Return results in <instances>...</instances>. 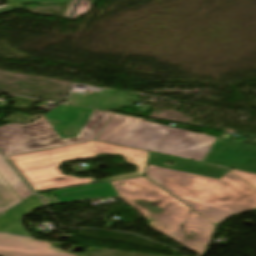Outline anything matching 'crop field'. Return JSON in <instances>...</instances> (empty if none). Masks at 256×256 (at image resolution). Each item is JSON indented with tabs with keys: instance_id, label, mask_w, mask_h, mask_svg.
<instances>
[{
	"instance_id": "dd49c442",
	"label": "crop field",
	"mask_w": 256,
	"mask_h": 256,
	"mask_svg": "<svg viewBox=\"0 0 256 256\" xmlns=\"http://www.w3.org/2000/svg\"><path fill=\"white\" fill-rule=\"evenodd\" d=\"M204 162L256 173V144L219 138Z\"/></svg>"
},
{
	"instance_id": "ac0d7876",
	"label": "crop field",
	"mask_w": 256,
	"mask_h": 256,
	"mask_svg": "<svg viewBox=\"0 0 256 256\" xmlns=\"http://www.w3.org/2000/svg\"><path fill=\"white\" fill-rule=\"evenodd\" d=\"M146 178L214 223L256 207V189L233 174L219 180L147 166Z\"/></svg>"
},
{
	"instance_id": "8a807250",
	"label": "crop field",
	"mask_w": 256,
	"mask_h": 256,
	"mask_svg": "<svg viewBox=\"0 0 256 256\" xmlns=\"http://www.w3.org/2000/svg\"><path fill=\"white\" fill-rule=\"evenodd\" d=\"M111 185L122 201L140 209L153 230L197 254H203L215 228L214 224L145 176L112 182Z\"/></svg>"
},
{
	"instance_id": "cbeb9de0",
	"label": "crop field",
	"mask_w": 256,
	"mask_h": 256,
	"mask_svg": "<svg viewBox=\"0 0 256 256\" xmlns=\"http://www.w3.org/2000/svg\"><path fill=\"white\" fill-rule=\"evenodd\" d=\"M22 201L0 175V213Z\"/></svg>"
},
{
	"instance_id": "28ad6ade",
	"label": "crop field",
	"mask_w": 256,
	"mask_h": 256,
	"mask_svg": "<svg viewBox=\"0 0 256 256\" xmlns=\"http://www.w3.org/2000/svg\"><path fill=\"white\" fill-rule=\"evenodd\" d=\"M54 194L62 203L87 198H107L119 196L110 183L56 191Z\"/></svg>"
},
{
	"instance_id": "e52e79f7",
	"label": "crop field",
	"mask_w": 256,
	"mask_h": 256,
	"mask_svg": "<svg viewBox=\"0 0 256 256\" xmlns=\"http://www.w3.org/2000/svg\"><path fill=\"white\" fill-rule=\"evenodd\" d=\"M0 256H75L49 243L0 234Z\"/></svg>"
},
{
	"instance_id": "d1516ede",
	"label": "crop field",
	"mask_w": 256,
	"mask_h": 256,
	"mask_svg": "<svg viewBox=\"0 0 256 256\" xmlns=\"http://www.w3.org/2000/svg\"><path fill=\"white\" fill-rule=\"evenodd\" d=\"M7 2H8V6H12L16 4L43 3V2H54L56 4L70 3L64 15L67 18H75L76 16L86 12L91 4V1L89 0H7Z\"/></svg>"
},
{
	"instance_id": "22f410ed",
	"label": "crop field",
	"mask_w": 256,
	"mask_h": 256,
	"mask_svg": "<svg viewBox=\"0 0 256 256\" xmlns=\"http://www.w3.org/2000/svg\"><path fill=\"white\" fill-rule=\"evenodd\" d=\"M0 174L9 183V185L14 189V191L23 200L31 195L32 192L29 190L27 185L22 181V179L17 175L9 163L0 154ZM24 201V200H23Z\"/></svg>"
},
{
	"instance_id": "f4fd0767",
	"label": "crop field",
	"mask_w": 256,
	"mask_h": 256,
	"mask_svg": "<svg viewBox=\"0 0 256 256\" xmlns=\"http://www.w3.org/2000/svg\"><path fill=\"white\" fill-rule=\"evenodd\" d=\"M216 137L113 113L96 140L202 162Z\"/></svg>"
},
{
	"instance_id": "5142ce71",
	"label": "crop field",
	"mask_w": 256,
	"mask_h": 256,
	"mask_svg": "<svg viewBox=\"0 0 256 256\" xmlns=\"http://www.w3.org/2000/svg\"><path fill=\"white\" fill-rule=\"evenodd\" d=\"M230 171H232L233 173H235L236 175H238L239 177H241L242 179H244L245 181H247L249 184L256 188V174L238 171L234 169H231Z\"/></svg>"
},
{
	"instance_id": "412701ff",
	"label": "crop field",
	"mask_w": 256,
	"mask_h": 256,
	"mask_svg": "<svg viewBox=\"0 0 256 256\" xmlns=\"http://www.w3.org/2000/svg\"><path fill=\"white\" fill-rule=\"evenodd\" d=\"M98 154H119L126 162L137 166L136 173L111 177L98 182L144 175L149 152L98 141L78 143L8 156L7 158L23 175L34 191L92 182L63 175L59 166L63 162L94 158ZM40 192V191H39Z\"/></svg>"
},
{
	"instance_id": "3316defc",
	"label": "crop field",
	"mask_w": 256,
	"mask_h": 256,
	"mask_svg": "<svg viewBox=\"0 0 256 256\" xmlns=\"http://www.w3.org/2000/svg\"><path fill=\"white\" fill-rule=\"evenodd\" d=\"M41 206L43 205L34 195L18 206L2 214L0 216V232L31 236V234H29L20 223V219Z\"/></svg>"
},
{
	"instance_id": "d8731c3e",
	"label": "crop field",
	"mask_w": 256,
	"mask_h": 256,
	"mask_svg": "<svg viewBox=\"0 0 256 256\" xmlns=\"http://www.w3.org/2000/svg\"><path fill=\"white\" fill-rule=\"evenodd\" d=\"M126 94L113 90L104 91V93H85V95L73 93L68 103L104 110H119L118 106L134 107L135 103L139 102L137 96Z\"/></svg>"
},
{
	"instance_id": "34b2d1b8",
	"label": "crop field",
	"mask_w": 256,
	"mask_h": 256,
	"mask_svg": "<svg viewBox=\"0 0 256 256\" xmlns=\"http://www.w3.org/2000/svg\"><path fill=\"white\" fill-rule=\"evenodd\" d=\"M112 113L62 105L31 124L0 126L5 156L97 138Z\"/></svg>"
},
{
	"instance_id": "5a996713",
	"label": "crop field",
	"mask_w": 256,
	"mask_h": 256,
	"mask_svg": "<svg viewBox=\"0 0 256 256\" xmlns=\"http://www.w3.org/2000/svg\"><path fill=\"white\" fill-rule=\"evenodd\" d=\"M163 162H171L173 163V165L168 166L163 164ZM148 164L170 168L174 170H179V171H184V172H189V173H194V174L212 177L216 179H219L226 172L230 170L229 168L218 167V166L208 165L204 163H199L195 161H190V160H185L181 158L170 157V156H165L160 154H154V153L150 154Z\"/></svg>"
}]
</instances>
